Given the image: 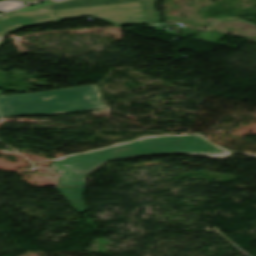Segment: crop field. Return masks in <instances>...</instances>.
<instances>
[{
    "label": "crop field",
    "mask_w": 256,
    "mask_h": 256,
    "mask_svg": "<svg viewBox=\"0 0 256 256\" xmlns=\"http://www.w3.org/2000/svg\"><path fill=\"white\" fill-rule=\"evenodd\" d=\"M204 155L224 160L230 151L209 142L201 134L143 137L128 143L54 159L50 167L61 176L60 186L84 185L86 177L107 161L150 154Z\"/></svg>",
    "instance_id": "crop-field-1"
},
{
    "label": "crop field",
    "mask_w": 256,
    "mask_h": 256,
    "mask_svg": "<svg viewBox=\"0 0 256 256\" xmlns=\"http://www.w3.org/2000/svg\"><path fill=\"white\" fill-rule=\"evenodd\" d=\"M103 108L96 85L0 98L2 118Z\"/></svg>",
    "instance_id": "crop-field-2"
},
{
    "label": "crop field",
    "mask_w": 256,
    "mask_h": 256,
    "mask_svg": "<svg viewBox=\"0 0 256 256\" xmlns=\"http://www.w3.org/2000/svg\"><path fill=\"white\" fill-rule=\"evenodd\" d=\"M62 20L91 16L113 25L144 24L140 1L52 11Z\"/></svg>",
    "instance_id": "crop-field-3"
},
{
    "label": "crop field",
    "mask_w": 256,
    "mask_h": 256,
    "mask_svg": "<svg viewBox=\"0 0 256 256\" xmlns=\"http://www.w3.org/2000/svg\"><path fill=\"white\" fill-rule=\"evenodd\" d=\"M61 21L46 7L29 12H9L0 16V34H8L25 26Z\"/></svg>",
    "instance_id": "crop-field-4"
},
{
    "label": "crop field",
    "mask_w": 256,
    "mask_h": 256,
    "mask_svg": "<svg viewBox=\"0 0 256 256\" xmlns=\"http://www.w3.org/2000/svg\"><path fill=\"white\" fill-rule=\"evenodd\" d=\"M77 212L87 209L83 202L84 186L56 187Z\"/></svg>",
    "instance_id": "crop-field-5"
},
{
    "label": "crop field",
    "mask_w": 256,
    "mask_h": 256,
    "mask_svg": "<svg viewBox=\"0 0 256 256\" xmlns=\"http://www.w3.org/2000/svg\"><path fill=\"white\" fill-rule=\"evenodd\" d=\"M131 1H137V0H74V1L63 3V4H59V5L55 4L52 6H48L47 8L50 11H52L57 9L123 3V2H131Z\"/></svg>",
    "instance_id": "crop-field-6"
},
{
    "label": "crop field",
    "mask_w": 256,
    "mask_h": 256,
    "mask_svg": "<svg viewBox=\"0 0 256 256\" xmlns=\"http://www.w3.org/2000/svg\"><path fill=\"white\" fill-rule=\"evenodd\" d=\"M147 23L161 22L160 15L155 10L156 0H142Z\"/></svg>",
    "instance_id": "crop-field-7"
},
{
    "label": "crop field",
    "mask_w": 256,
    "mask_h": 256,
    "mask_svg": "<svg viewBox=\"0 0 256 256\" xmlns=\"http://www.w3.org/2000/svg\"><path fill=\"white\" fill-rule=\"evenodd\" d=\"M22 5H24V4L20 3V2L3 1V2H0V11H6V10L16 8V7H19Z\"/></svg>",
    "instance_id": "crop-field-8"
},
{
    "label": "crop field",
    "mask_w": 256,
    "mask_h": 256,
    "mask_svg": "<svg viewBox=\"0 0 256 256\" xmlns=\"http://www.w3.org/2000/svg\"><path fill=\"white\" fill-rule=\"evenodd\" d=\"M51 4H55V3H52V2H49V1H46L38 6H33V7H25V8H22V9H18L16 11H29V10H34V9H37V8H40V7H43V6H47V5H51Z\"/></svg>",
    "instance_id": "crop-field-9"
},
{
    "label": "crop field",
    "mask_w": 256,
    "mask_h": 256,
    "mask_svg": "<svg viewBox=\"0 0 256 256\" xmlns=\"http://www.w3.org/2000/svg\"><path fill=\"white\" fill-rule=\"evenodd\" d=\"M233 153H238V154H246V153H240V152H235V151H232ZM247 155H251V156H255L256 157V155H253V154H247Z\"/></svg>",
    "instance_id": "crop-field-10"
},
{
    "label": "crop field",
    "mask_w": 256,
    "mask_h": 256,
    "mask_svg": "<svg viewBox=\"0 0 256 256\" xmlns=\"http://www.w3.org/2000/svg\"><path fill=\"white\" fill-rule=\"evenodd\" d=\"M4 38H5V36L0 37V45L2 44Z\"/></svg>",
    "instance_id": "crop-field-11"
},
{
    "label": "crop field",
    "mask_w": 256,
    "mask_h": 256,
    "mask_svg": "<svg viewBox=\"0 0 256 256\" xmlns=\"http://www.w3.org/2000/svg\"><path fill=\"white\" fill-rule=\"evenodd\" d=\"M20 1H28V2H33V1H37V0H20Z\"/></svg>",
    "instance_id": "crop-field-12"
},
{
    "label": "crop field",
    "mask_w": 256,
    "mask_h": 256,
    "mask_svg": "<svg viewBox=\"0 0 256 256\" xmlns=\"http://www.w3.org/2000/svg\"><path fill=\"white\" fill-rule=\"evenodd\" d=\"M53 1L60 2V1H66V0H53Z\"/></svg>",
    "instance_id": "crop-field-13"
}]
</instances>
